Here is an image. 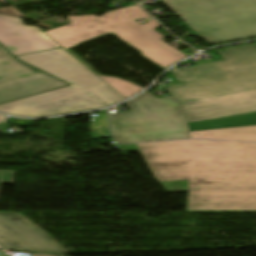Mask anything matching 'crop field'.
I'll return each mask as SVG.
<instances>
[{"instance_id":"crop-field-14","label":"crop field","mask_w":256,"mask_h":256,"mask_svg":"<svg viewBox=\"0 0 256 256\" xmlns=\"http://www.w3.org/2000/svg\"><path fill=\"white\" fill-rule=\"evenodd\" d=\"M32 256H56V255L33 253ZM59 256H62V255H59Z\"/></svg>"},{"instance_id":"crop-field-11","label":"crop field","mask_w":256,"mask_h":256,"mask_svg":"<svg viewBox=\"0 0 256 256\" xmlns=\"http://www.w3.org/2000/svg\"><path fill=\"white\" fill-rule=\"evenodd\" d=\"M16 172L0 171V186L1 183L13 184Z\"/></svg>"},{"instance_id":"crop-field-8","label":"crop field","mask_w":256,"mask_h":256,"mask_svg":"<svg viewBox=\"0 0 256 256\" xmlns=\"http://www.w3.org/2000/svg\"><path fill=\"white\" fill-rule=\"evenodd\" d=\"M0 244L7 249L69 254L64 247L19 213H0Z\"/></svg>"},{"instance_id":"crop-field-15","label":"crop field","mask_w":256,"mask_h":256,"mask_svg":"<svg viewBox=\"0 0 256 256\" xmlns=\"http://www.w3.org/2000/svg\"><path fill=\"white\" fill-rule=\"evenodd\" d=\"M0 249H2V248L0 247ZM0 256H7V255L5 254V252H1Z\"/></svg>"},{"instance_id":"crop-field-2","label":"crop field","mask_w":256,"mask_h":256,"mask_svg":"<svg viewBox=\"0 0 256 256\" xmlns=\"http://www.w3.org/2000/svg\"><path fill=\"white\" fill-rule=\"evenodd\" d=\"M223 58L172 69L164 87L184 108L191 131L256 125V44L215 50Z\"/></svg>"},{"instance_id":"crop-field-9","label":"crop field","mask_w":256,"mask_h":256,"mask_svg":"<svg viewBox=\"0 0 256 256\" xmlns=\"http://www.w3.org/2000/svg\"><path fill=\"white\" fill-rule=\"evenodd\" d=\"M0 43L14 56L60 48L35 26H26L21 18L0 14Z\"/></svg>"},{"instance_id":"crop-field-1","label":"crop field","mask_w":256,"mask_h":256,"mask_svg":"<svg viewBox=\"0 0 256 256\" xmlns=\"http://www.w3.org/2000/svg\"><path fill=\"white\" fill-rule=\"evenodd\" d=\"M138 151L167 192L188 191L186 210H256V143L180 140L122 146Z\"/></svg>"},{"instance_id":"crop-field-12","label":"crop field","mask_w":256,"mask_h":256,"mask_svg":"<svg viewBox=\"0 0 256 256\" xmlns=\"http://www.w3.org/2000/svg\"><path fill=\"white\" fill-rule=\"evenodd\" d=\"M0 13L11 15V16H16V17L27 18L23 14H21L17 9H15L13 6L1 8Z\"/></svg>"},{"instance_id":"crop-field-13","label":"crop field","mask_w":256,"mask_h":256,"mask_svg":"<svg viewBox=\"0 0 256 256\" xmlns=\"http://www.w3.org/2000/svg\"><path fill=\"white\" fill-rule=\"evenodd\" d=\"M186 212H256V211H186Z\"/></svg>"},{"instance_id":"crop-field-10","label":"crop field","mask_w":256,"mask_h":256,"mask_svg":"<svg viewBox=\"0 0 256 256\" xmlns=\"http://www.w3.org/2000/svg\"><path fill=\"white\" fill-rule=\"evenodd\" d=\"M190 138L256 141V126L195 131Z\"/></svg>"},{"instance_id":"crop-field-5","label":"crop field","mask_w":256,"mask_h":256,"mask_svg":"<svg viewBox=\"0 0 256 256\" xmlns=\"http://www.w3.org/2000/svg\"><path fill=\"white\" fill-rule=\"evenodd\" d=\"M125 104L131 111L109 115L116 142L189 138L182 105L172 96L157 98L147 91Z\"/></svg>"},{"instance_id":"crop-field-7","label":"crop field","mask_w":256,"mask_h":256,"mask_svg":"<svg viewBox=\"0 0 256 256\" xmlns=\"http://www.w3.org/2000/svg\"><path fill=\"white\" fill-rule=\"evenodd\" d=\"M67 85L17 60L0 46V103Z\"/></svg>"},{"instance_id":"crop-field-6","label":"crop field","mask_w":256,"mask_h":256,"mask_svg":"<svg viewBox=\"0 0 256 256\" xmlns=\"http://www.w3.org/2000/svg\"><path fill=\"white\" fill-rule=\"evenodd\" d=\"M207 43L256 36V0H161Z\"/></svg>"},{"instance_id":"crop-field-16","label":"crop field","mask_w":256,"mask_h":256,"mask_svg":"<svg viewBox=\"0 0 256 256\" xmlns=\"http://www.w3.org/2000/svg\"><path fill=\"white\" fill-rule=\"evenodd\" d=\"M3 119H5V117H4V116H0V122H1Z\"/></svg>"},{"instance_id":"crop-field-4","label":"crop field","mask_w":256,"mask_h":256,"mask_svg":"<svg viewBox=\"0 0 256 256\" xmlns=\"http://www.w3.org/2000/svg\"><path fill=\"white\" fill-rule=\"evenodd\" d=\"M71 86L0 105V112L40 117L107 107L125 100L63 48L17 56Z\"/></svg>"},{"instance_id":"crop-field-3","label":"crop field","mask_w":256,"mask_h":256,"mask_svg":"<svg viewBox=\"0 0 256 256\" xmlns=\"http://www.w3.org/2000/svg\"><path fill=\"white\" fill-rule=\"evenodd\" d=\"M150 17L140 7L134 5L107 12L98 18L95 15L67 16L70 24L45 31V33L91 70L93 69L92 67L69 49L79 46L82 42L98 39L110 34L137 49L141 56L162 69H166L176 61L187 57L160 40L164 37L154 30L160 25L153 19L143 24L134 21L135 19ZM93 72L126 99L143 89L130 82L102 76L95 71Z\"/></svg>"}]
</instances>
